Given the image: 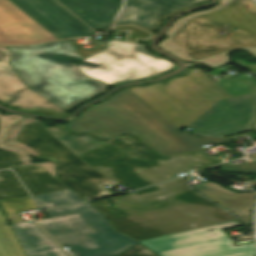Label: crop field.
Instances as JSON below:
<instances>
[{
    "label": "crop field",
    "mask_w": 256,
    "mask_h": 256,
    "mask_svg": "<svg viewBox=\"0 0 256 256\" xmlns=\"http://www.w3.org/2000/svg\"><path fill=\"white\" fill-rule=\"evenodd\" d=\"M255 109L256 93L232 98L200 69H191L185 77L175 78L165 86L158 83L124 90L86 109L67 123V129L88 133L93 130L103 139L133 131L168 155L226 141L194 138L177 128L190 127L193 133L208 137L246 132L251 130Z\"/></svg>",
    "instance_id": "crop-field-1"
},
{
    "label": "crop field",
    "mask_w": 256,
    "mask_h": 256,
    "mask_svg": "<svg viewBox=\"0 0 256 256\" xmlns=\"http://www.w3.org/2000/svg\"><path fill=\"white\" fill-rule=\"evenodd\" d=\"M113 201L112 206L106 200L92 205L107 216L115 230L136 241L235 219L191 191L184 177Z\"/></svg>",
    "instance_id": "crop-field-2"
},
{
    "label": "crop field",
    "mask_w": 256,
    "mask_h": 256,
    "mask_svg": "<svg viewBox=\"0 0 256 256\" xmlns=\"http://www.w3.org/2000/svg\"><path fill=\"white\" fill-rule=\"evenodd\" d=\"M221 5L177 20L158 47L183 61L214 67L241 49L256 56V4L252 0H220ZM226 32L224 35L219 32ZM227 63V62H226ZM225 64V63H224Z\"/></svg>",
    "instance_id": "crop-field-3"
},
{
    "label": "crop field",
    "mask_w": 256,
    "mask_h": 256,
    "mask_svg": "<svg viewBox=\"0 0 256 256\" xmlns=\"http://www.w3.org/2000/svg\"><path fill=\"white\" fill-rule=\"evenodd\" d=\"M70 42L5 47L12 54L9 64L20 80L66 112L109 86L81 73L73 62L82 58Z\"/></svg>",
    "instance_id": "crop-field-4"
},
{
    "label": "crop field",
    "mask_w": 256,
    "mask_h": 256,
    "mask_svg": "<svg viewBox=\"0 0 256 256\" xmlns=\"http://www.w3.org/2000/svg\"><path fill=\"white\" fill-rule=\"evenodd\" d=\"M135 151L124 152L108 143L78 155L96 171L133 189H139L170 180L171 175L202 165L206 168L221 162L215 157L206 156L200 151L162 157L142 140L130 133L120 138Z\"/></svg>",
    "instance_id": "crop-field-5"
},
{
    "label": "crop field",
    "mask_w": 256,
    "mask_h": 256,
    "mask_svg": "<svg viewBox=\"0 0 256 256\" xmlns=\"http://www.w3.org/2000/svg\"><path fill=\"white\" fill-rule=\"evenodd\" d=\"M46 213L50 219L37 223L73 256L119 254L137 243L113 231L105 216L87 202Z\"/></svg>",
    "instance_id": "crop-field-6"
},
{
    "label": "crop field",
    "mask_w": 256,
    "mask_h": 256,
    "mask_svg": "<svg viewBox=\"0 0 256 256\" xmlns=\"http://www.w3.org/2000/svg\"><path fill=\"white\" fill-rule=\"evenodd\" d=\"M114 31L130 30L126 42L108 39L106 49L81 61L77 66L83 74L105 84L144 79L163 74L173 63L147 53L138 39H149L152 33L133 25L113 27Z\"/></svg>",
    "instance_id": "crop-field-7"
},
{
    "label": "crop field",
    "mask_w": 256,
    "mask_h": 256,
    "mask_svg": "<svg viewBox=\"0 0 256 256\" xmlns=\"http://www.w3.org/2000/svg\"><path fill=\"white\" fill-rule=\"evenodd\" d=\"M15 141L33 149L40 156L57 159L56 178L85 200L108 195L104 185L116 181L96 172L48 133L41 123H27Z\"/></svg>",
    "instance_id": "crop-field-8"
},
{
    "label": "crop field",
    "mask_w": 256,
    "mask_h": 256,
    "mask_svg": "<svg viewBox=\"0 0 256 256\" xmlns=\"http://www.w3.org/2000/svg\"><path fill=\"white\" fill-rule=\"evenodd\" d=\"M241 225L235 220L140 243L159 256H256L255 243L233 247L222 230Z\"/></svg>",
    "instance_id": "crop-field-9"
},
{
    "label": "crop field",
    "mask_w": 256,
    "mask_h": 256,
    "mask_svg": "<svg viewBox=\"0 0 256 256\" xmlns=\"http://www.w3.org/2000/svg\"><path fill=\"white\" fill-rule=\"evenodd\" d=\"M21 118L0 114V169H13L32 196L65 189L54 179V164H31V159L22 149L4 144L10 126Z\"/></svg>",
    "instance_id": "crop-field-10"
},
{
    "label": "crop field",
    "mask_w": 256,
    "mask_h": 256,
    "mask_svg": "<svg viewBox=\"0 0 256 256\" xmlns=\"http://www.w3.org/2000/svg\"><path fill=\"white\" fill-rule=\"evenodd\" d=\"M27 256H68L34 222H24L18 211L37 208L31 197L0 201Z\"/></svg>",
    "instance_id": "crop-field-11"
},
{
    "label": "crop field",
    "mask_w": 256,
    "mask_h": 256,
    "mask_svg": "<svg viewBox=\"0 0 256 256\" xmlns=\"http://www.w3.org/2000/svg\"><path fill=\"white\" fill-rule=\"evenodd\" d=\"M58 39L94 32L55 0H10Z\"/></svg>",
    "instance_id": "crop-field-12"
},
{
    "label": "crop field",
    "mask_w": 256,
    "mask_h": 256,
    "mask_svg": "<svg viewBox=\"0 0 256 256\" xmlns=\"http://www.w3.org/2000/svg\"><path fill=\"white\" fill-rule=\"evenodd\" d=\"M56 38L9 0H0V45L34 44Z\"/></svg>",
    "instance_id": "crop-field-13"
},
{
    "label": "crop field",
    "mask_w": 256,
    "mask_h": 256,
    "mask_svg": "<svg viewBox=\"0 0 256 256\" xmlns=\"http://www.w3.org/2000/svg\"><path fill=\"white\" fill-rule=\"evenodd\" d=\"M208 0H126L115 25L136 24L156 30L157 21L165 15Z\"/></svg>",
    "instance_id": "crop-field-14"
},
{
    "label": "crop field",
    "mask_w": 256,
    "mask_h": 256,
    "mask_svg": "<svg viewBox=\"0 0 256 256\" xmlns=\"http://www.w3.org/2000/svg\"><path fill=\"white\" fill-rule=\"evenodd\" d=\"M11 54L0 47V102L18 109L46 108L65 113L63 110L28 89L16 76L8 61Z\"/></svg>",
    "instance_id": "crop-field-15"
},
{
    "label": "crop field",
    "mask_w": 256,
    "mask_h": 256,
    "mask_svg": "<svg viewBox=\"0 0 256 256\" xmlns=\"http://www.w3.org/2000/svg\"><path fill=\"white\" fill-rule=\"evenodd\" d=\"M93 30H108L123 0H58Z\"/></svg>",
    "instance_id": "crop-field-16"
},
{
    "label": "crop field",
    "mask_w": 256,
    "mask_h": 256,
    "mask_svg": "<svg viewBox=\"0 0 256 256\" xmlns=\"http://www.w3.org/2000/svg\"><path fill=\"white\" fill-rule=\"evenodd\" d=\"M193 188L228 209L245 224L250 223L251 213L248 211L253 208L256 193H238L212 182Z\"/></svg>",
    "instance_id": "crop-field-17"
},
{
    "label": "crop field",
    "mask_w": 256,
    "mask_h": 256,
    "mask_svg": "<svg viewBox=\"0 0 256 256\" xmlns=\"http://www.w3.org/2000/svg\"><path fill=\"white\" fill-rule=\"evenodd\" d=\"M46 130L55 136L76 155L100 145L98 141L88 136L66 137L64 136L65 132L58 126L49 127L46 128Z\"/></svg>",
    "instance_id": "crop-field-18"
},
{
    "label": "crop field",
    "mask_w": 256,
    "mask_h": 256,
    "mask_svg": "<svg viewBox=\"0 0 256 256\" xmlns=\"http://www.w3.org/2000/svg\"><path fill=\"white\" fill-rule=\"evenodd\" d=\"M0 256H25L0 211Z\"/></svg>",
    "instance_id": "crop-field-19"
},
{
    "label": "crop field",
    "mask_w": 256,
    "mask_h": 256,
    "mask_svg": "<svg viewBox=\"0 0 256 256\" xmlns=\"http://www.w3.org/2000/svg\"><path fill=\"white\" fill-rule=\"evenodd\" d=\"M28 196L12 171H0V200Z\"/></svg>",
    "instance_id": "crop-field-20"
},
{
    "label": "crop field",
    "mask_w": 256,
    "mask_h": 256,
    "mask_svg": "<svg viewBox=\"0 0 256 256\" xmlns=\"http://www.w3.org/2000/svg\"><path fill=\"white\" fill-rule=\"evenodd\" d=\"M34 199L37 201V203L40 205L42 209L55 207L56 204H58L59 206H62V205L82 201L81 198L76 196L74 193H72L68 189L35 196Z\"/></svg>",
    "instance_id": "crop-field-21"
},
{
    "label": "crop field",
    "mask_w": 256,
    "mask_h": 256,
    "mask_svg": "<svg viewBox=\"0 0 256 256\" xmlns=\"http://www.w3.org/2000/svg\"><path fill=\"white\" fill-rule=\"evenodd\" d=\"M218 85L232 97L256 92V81L253 78H247L246 76L224 81Z\"/></svg>",
    "instance_id": "crop-field-22"
},
{
    "label": "crop field",
    "mask_w": 256,
    "mask_h": 256,
    "mask_svg": "<svg viewBox=\"0 0 256 256\" xmlns=\"http://www.w3.org/2000/svg\"><path fill=\"white\" fill-rule=\"evenodd\" d=\"M27 122H38L35 119H31V118H27L24 117L22 120H20L18 123H16L15 125L11 126L8 137L6 139V143L5 144H9L12 146H16V147H20L22 148L25 152H27L30 156H32L33 158H35L37 161L40 160H53L54 162H56V160L52 157H40L37 153H35L33 150H31L30 148L22 145V144H18L14 142V138L18 132V130L20 129V127L22 125H24Z\"/></svg>",
    "instance_id": "crop-field-23"
},
{
    "label": "crop field",
    "mask_w": 256,
    "mask_h": 256,
    "mask_svg": "<svg viewBox=\"0 0 256 256\" xmlns=\"http://www.w3.org/2000/svg\"><path fill=\"white\" fill-rule=\"evenodd\" d=\"M116 256H158L140 243Z\"/></svg>",
    "instance_id": "crop-field-24"
},
{
    "label": "crop field",
    "mask_w": 256,
    "mask_h": 256,
    "mask_svg": "<svg viewBox=\"0 0 256 256\" xmlns=\"http://www.w3.org/2000/svg\"><path fill=\"white\" fill-rule=\"evenodd\" d=\"M221 167L222 171L256 173V161L244 164L243 166H229L222 164Z\"/></svg>",
    "instance_id": "crop-field-25"
},
{
    "label": "crop field",
    "mask_w": 256,
    "mask_h": 256,
    "mask_svg": "<svg viewBox=\"0 0 256 256\" xmlns=\"http://www.w3.org/2000/svg\"><path fill=\"white\" fill-rule=\"evenodd\" d=\"M252 72H256V65L243 64Z\"/></svg>",
    "instance_id": "crop-field-26"
},
{
    "label": "crop field",
    "mask_w": 256,
    "mask_h": 256,
    "mask_svg": "<svg viewBox=\"0 0 256 256\" xmlns=\"http://www.w3.org/2000/svg\"><path fill=\"white\" fill-rule=\"evenodd\" d=\"M251 158H256V154L250 155Z\"/></svg>",
    "instance_id": "crop-field-27"
},
{
    "label": "crop field",
    "mask_w": 256,
    "mask_h": 256,
    "mask_svg": "<svg viewBox=\"0 0 256 256\" xmlns=\"http://www.w3.org/2000/svg\"><path fill=\"white\" fill-rule=\"evenodd\" d=\"M254 128L256 129V124H255Z\"/></svg>",
    "instance_id": "crop-field-28"
}]
</instances>
